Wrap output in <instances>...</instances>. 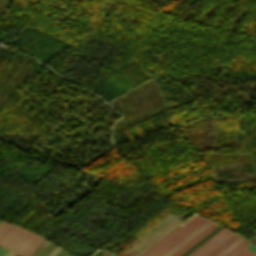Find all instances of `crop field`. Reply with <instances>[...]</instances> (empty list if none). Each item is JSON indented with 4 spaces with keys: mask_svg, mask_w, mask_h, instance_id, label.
<instances>
[{
    "mask_svg": "<svg viewBox=\"0 0 256 256\" xmlns=\"http://www.w3.org/2000/svg\"><path fill=\"white\" fill-rule=\"evenodd\" d=\"M223 226L219 225L214 230H212L210 233H208L205 237H203L201 240H199L197 243H195L192 247H190L188 250H186L183 254L180 256H187L189 253H191L194 249H196L198 246H200L203 242H205L207 239H209L212 235H214L217 231H219ZM218 233V232H217Z\"/></svg>",
    "mask_w": 256,
    "mask_h": 256,
    "instance_id": "e52e79f7",
    "label": "crop field"
},
{
    "mask_svg": "<svg viewBox=\"0 0 256 256\" xmlns=\"http://www.w3.org/2000/svg\"><path fill=\"white\" fill-rule=\"evenodd\" d=\"M244 240L245 239L240 236L215 256H224L226 253H228L230 250H232L234 247H236L238 244H240Z\"/></svg>",
    "mask_w": 256,
    "mask_h": 256,
    "instance_id": "5a996713",
    "label": "crop field"
},
{
    "mask_svg": "<svg viewBox=\"0 0 256 256\" xmlns=\"http://www.w3.org/2000/svg\"><path fill=\"white\" fill-rule=\"evenodd\" d=\"M212 221L208 220L203 225H201L198 229H196L194 232H192L190 235H188L185 239H183L181 242H179L176 246H174L172 249H170L167 253H165L163 256H170L173 252H175L177 249H179L182 245H184L187 241H189L191 238H193L196 234H198L201 230H203L205 227H207Z\"/></svg>",
    "mask_w": 256,
    "mask_h": 256,
    "instance_id": "412701ff",
    "label": "crop field"
},
{
    "mask_svg": "<svg viewBox=\"0 0 256 256\" xmlns=\"http://www.w3.org/2000/svg\"><path fill=\"white\" fill-rule=\"evenodd\" d=\"M8 223H6V222H2L1 224H0V232L4 229V227L7 225Z\"/></svg>",
    "mask_w": 256,
    "mask_h": 256,
    "instance_id": "d9b57169",
    "label": "crop field"
},
{
    "mask_svg": "<svg viewBox=\"0 0 256 256\" xmlns=\"http://www.w3.org/2000/svg\"><path fill=\"white\" fill-rule=\"evenodd\" d=\"M60 248H56L55 251L50 255V256H53Z\"/></svg>",
    "mask_w": 256,
    "mask_h": 256,
    "instance_id": "214f88e0",
    "label": "crop field"
},
{
    "mask_svg": "<svg viewBox=\"0 0 256 256\" xmlns=\"http://www.w3.org/2000/svg\"><path fill=\"white\" fill-rule=\"evenodd\" d=\"M14 255H15V253L10 252V253L7 254L6 256H14Z\"/></svg>",
    "mask_w": 256,
    "mask_h": 256,
    "instance_id": "92a150f3",
    "label": "crop field"
},
{
    "mask_svg": "<svg viewBox=\"0 0 256 256\" xmlns=\"http://www.w3.org/2000/svg\"><path fill=\"white\" fill-rule=\"evenodd\" d=\"M214 227H216V225H214V224L209 226L207 229H205L203 232H201L199 235H197L194 239H192L190 242H188L186 245H184L181 249H179L177 252H175L171 256H178V255H180L182 252H184L187 248H189L192 244H194L196 241H198L201 237H203L205 234H207Z\"/></svg>",
    "mask_w": 256,
    "mask_h": 256,
    "instance_id": "f4fd0767",
    "label": "crop field"
},
{
    "mask_svg": "<svg viewBox=\"0 0 256 256\" xmlns=\"http://www.w3.org/2000/svg\"><path fill=\"white\" fill-rule=\"evenodd\" d=\"M203 222L205 220L196 216L144 256H161Z\"/></svg>",
    "mask_w": 256,
    "mask_h": 256,
    "instance_id": "8a807250",
    "label": "crop field"
},
{
    "mask_svg": "<svg viewBox=\"0 0 256 256\" xmlns=\"http://www.w3.org/2000/svg\"><path fill=\"white\" fill-rule=\"evenodd\" d=\"M69 256V255H68Z\"/></svg>",
    "mask_w": 256,
    "mask_h": 256,
    "instance_id": "a9b5d70f",
    "label": "crop field"
},
{
    "mask_svg": "<svg viewBox=\"0 0 256 256\" xmlns=\"http://www.w3.org/2000/svg\"><path fill=\"white\" fill-rule=\"evenodd\" d=\"M178 228H180V226H178L177 228H175L172 232H170L168 235H166L165 237H163L162 239H160L158 242H156L154 245H152L149 249H147L145 252H143L140 256H143L144 254H146L148 251H150L153 247H155L157 244H159L161 241H163L166 237H168L170 234H172L174 231H176Z\"/></svg>",
    "mask_w": 256,
    "mask_h": 256,
    "instance_id": "28ad6ade",
    "label": "crop field"
},
{
    "mask_svg": "<svg viewBox=\"0 0 256 256\" xmlns=\"http://www.w3.org/2000/svg\"><path fill=\"white\" fill-rule=\"evenodd\" d=\"M104 253V251L100 250L97 251L95 254H93L92 256H101Z\"/></svg>",
    "mask_w": 256,
    "mask_h": 256,
    "instance_id": "4a817a6b",
    "label": "crop field"
},
{
    "mask_svg": "<svg viewBox=\"0 0 256 256\" xmlns=\"http://www.w3.org/2000/svg\"><path fill=\"white\" fill-rule=\"evenodd\" d=\"M246 256H256V254L247 250L246 251Z\"/></svg>",
    "mask_w": 256,
    "mask_h": 256,
    "instance_id": "bc2a9ffb",
    "label": "crop field"
},
{
    "mask_svg": "<svg viewBox=\"0 0 256 256\" xmlns=\"http://www.w3.org/2000/svg\"><path fill=\"white\" fill-rule=\"evenodd\" d=\"M222 249L223 248L218 246L216 249H214L212 252H210L207 256H214L216 253H218Z\"/></svg>",
    "mask_w": 256,
    "mask_h": 256,
    "instance_id": "cbeb9de0",
    "label": "crop field"
},
{
    "mask_svg": "<svg viewBox=\"0 0 256 256\" xmlns=\"http://www.w3.org/2000/svg\"><path fill=\"white\" fill-rule=\"evenodd\" d=\"M248 249L253 251V252H256V247H254L253 245L249 244L248 246Z\"/></svg>",
    "mask_w": 256,
    "mask_h": 256,
    "instance_id": "733c2abd",
    "label": "crop field"
},
{
    "mask_svg": "<svg viewBox=\"0 0 256 256\" xmlns=\"http://www.w3.org/2000/svg\"><path fill=\"white\" fill-rule=\"evenodd\" d=\"M17 226L9 224L1 233H0V245H2L9 236L15 231Z\"/></svg>",
    "mask_w": 256,
    "mask_h": 256,
    "instance_id": "d8731c3e",
    "label": "crop field"
},
{
    "mask_svg": "<svg viewBox=\"0 0 256 256\" xmlns=\"http://www.w3.org/2000/svg\"><path fill=\"white\" fill-rule=\"evenodd\" d=\"M46 240L44 239L42 242H41V244L33 251V253L30 255V256H32L36 251H37V249L45 242ZM48 243V241H46L40 248H39V250L33 255V256H37L40 252H41V250L46 246V244Z\"/></svg>",
    "mask_w": 256,
    "mask_h": 256,
    "instance_id": "d1516ede",
    "label": "crop field"
},
{
    "mask_svg": "<svg viewBox=\"0 0 256 256\" xmlns=\"http://www.w3.org/2000/svg\"><path fill=\"white\" fill-rule=\"evenodd\" d=\"M42 240V238L37 237L27 231L24 236L15 244L12 250L22 255L29 256Z\"/></svg>",
    "mask_w": 256,
    "mask_h": 256,
    "instance_id": "34b2d1b8",
    "label": "crop field"
},
{
    "mask_svg": "<svg viewBox=\"0 0 256 256\" xmlns=\"http://www.w3.org/2000/svg\"><path fill=\"white\" fill-rule=\"evenodd\" d=\"M245 254V248L242 249L240 252H238L235 256H244Z\"/></svg>",
    "mask_w": 256,
    "mask_h": 256,
    "instance_id": "5142ce71",
    "label": "crop field"
},
{
    "mask_svg": "<svg viewBox=\"0 0 256 256\" xmlns=\"http://www.w3.org/2000/svg\"><path fill=\"white\" fill-rule=\"evenodd\" d=\"M108 255H109V254L105 252L102 256H108Z\"/></svg>",
    "mask_w": 256,
    "mask_h": 256,
    "instance_id": "dafd665d",
    "label": "crop field"
},
{
    "mask_svg": "<svg viewBox=\"0 0 256 256\" xmlns=\"http://www.w3.org/2000/svg\"><path fill=\"white\" fill-rule=\"evenodd\" d=\"M53 246L54 244L49 243L38 256H45Z\"/></svg>",
    "mask_w": 256,
    "mask_h": 256,
    "instance_id": "22f410ed",
    "label": "crop field"
},
{
    "mask_svg": "<svg viewBox=\"0 0 256 256\" xmlns=\"http://www.w3.org/2000/svg\"><path fill=\"white\" fill-rule=\"evenodd\" d=\"M247 245V241L245 240L242 242L240 245H238L236 248H234L232 251H230L228 254L225 256H233L235 255L238 251H240L242 248H244Z\"/></svg>",
    "mask_w": 256,
    "mask_h": 256,
    "instance_id": "3316defc",
    "label": "crop field"
},
{
    "mask_svg": "<svg viewBox=\"0 0 256 256\" xmlns=\"http://www.w3.org/2000/svg\"><path fill=\"white\" fill-rule=\"evenodd\" d=\"M234 233L235 232L224 227L188 256H205Z\"/></svg>",
    "mask_w": 256,
    "mask_h": 256,
    "instance_id": "ac0d7876",
    "label": "crop field"
},
{
    "mask_svg": "<svg viewBox=\"0 0 256 256\" xmlns=\"http://www.w3.org/2000/svg\"><path fill=\"white\" fill-rule=\"evenodd\" d=\"M15 256H21V255L16 254Z\"/></svg>",
    "mask_w": 256,
    "mask_h": 256,
    "instance_id": "00972430",
    "label": "crop field"
},
{
    "mask_svg": "<svg viewBox=\"0 0 256 256\" xmlns=\"http://www.w3.org/2000/svg\"><path fill=\"white\" fill-rule=\"evenodd\" d=\"M26 230L17 228L11 237L3 244L4 247L11 249L14 244L23 236Z\"/></svg>",
    "mask_w": 256,
    "mask_h": 256,
    "instance_id": "dd49c442",
    "label": "crop field"
}]
</instances>
